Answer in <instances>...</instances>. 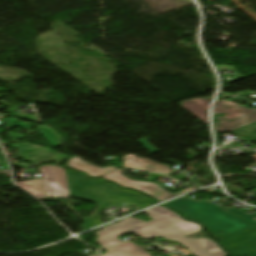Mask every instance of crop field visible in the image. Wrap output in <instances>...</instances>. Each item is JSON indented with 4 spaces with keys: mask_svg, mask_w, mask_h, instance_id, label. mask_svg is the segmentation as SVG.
I'll return each mask as SVG.
<instances>
[{
    "mask_svg": "<svg viewBox=\"0 0 256 256\" xmlns=\"http://www.w3.org/2000/svg\"><path fill=\"white\" fill-rule=\"evenodd\" d=\"M27 148H30V150ZM16 149L18 150L17 152L15 151ZM13 150L23 160L33 163H44V161L46 160V162L61 164L64 160L68 158V156L50 151L44 147L28 143L16 144L13 146ZM42 151L44 152L41 153Z\"/></svg>",
    "mask_w": 256,
    "mask_h": 256,
    "instance_id": "obj_8",
    "label": "crop field"
},
{
    "mask_svg": "<svg viewBox=\"0 0 256 256\" xmlns=\"http://www.w3.org/2000/svg\"><path fill=\"white\" fill-rule=\"evenodd\" d=\"M165 205L181 212L187 218L204 224L216 238L250 227V225L226 210L236 214L251 225H256V214L246 215L232 207L223 210L211 203L193 201L185 197H181ZM218 231H223L224 233L218 234Z\"/></svg>",
    "mask_w": 256,
    "mask_h": 256,
    "instance_id": "obj_3",
    "label": "crop field"
},
{
    "mask_svg": "<svg viewBox=\"0 0 256 256\" xmlns=\"http://www.w3.org/2000/svg\"><path fill=\"white\" fill-rule=\"evenodd\" d=\"M40 169L47 197H70L63 168L45 166Z\"/></svg>",
    "mask_w": 256,
    "mask_h": 256,
    "instance_id": "obj_7",
    "label": "crop field"
},
{
    "mask_svg": "<svg viewBox=\"0 0 256 256\" xmlns=\"http://www.w3.org/2000/svg\"><path fill=\"white\" fill-rule=\"evenodd\" d=\"M138 142H139L140 144L144 145V148H145L146 150H148L150 153L157 151V150H156L152 145H150L145 139L139 140Z\"/></svg>",
    "mask_w": 256,
    "mask_h": 256,
    "instance_id": "obj_17",
    "label": "crop field"
},
{
    "mask_svg": "<svg viewBox=\"0 0 256 256\" xmlns=\"http://www.w3.org/2000/svg\"><path fill=\"white\" fill-rule=\"evenodd\" d=\"M10 139H22V135L20 134H9Z\"/></svg>",
    "mask_w": 256,
    "mask_h": 256,
    "instance_id": "obj_19",
    "label": "crop field"
},
{
    "mask_svg": "<svg viewBox=\"0 0 256 256\" xmlns=\"http://www.w3.org/2000/svg\"><path fill=\"white\" fill-rule=\"evenodd\" d=\"M160 177H161L160 175H156V174L150 173L146 178H147V180H148L147 182H149V181L158 179V178H160Z\"/></svg>",
    "mask_w": 256,
    "mask_h": 256,
    "instance_id": "obj_18",
    "label": "crop field"
},
{
    "mask_svg": "<svg viewBox=\"0 0 256 256\" xmlns=\"http://www.w3.org/2000/svg\"><path fill=\"white\" fill-rule=\"evenodd\" d=\"M66 174L71 196L98 202L93 216L86 218L85 224L80 226L84 230L103 224L100 221L101 210L109 203L132 205L136 210L155 204L140 193L119 188L106 181L90 179L70 170L66 171Z\"/></svg>",
    "mask_w": 256,
    "mask_h": 256,
    "instance_id": "obj_2",
    "label": "crop field"
},
{
    "mask_svg": "<svg viewBox=\"0 0 256 256\" xmlns=\"http://www.w3.org/2000/svg\"><path fill=\"white\" fill-rule=\"evenodd\" d=\"M30 125H32V124L12 119L5 126H6V128L18 126L20 128L27 130Z\"/></svg>",
    "mask_w": 256,
    "mask_h": 256,
    "instance_id": "obj_16",
    "label": "crop field"
},
{
    "mask_svg": "<svg viewBox=\"0 0 256 256\" xmlns=\"http://www.w3.org/2000/svg\"><path fill=\"white\" fill-rule=\"evenodd\" d=\"M121 171H122V169H118L102 178H106V179L113 181L122 186H126V187H129L132 189L142 191V192L154 197L159 202L166 200L168 198L174 197L176 195H179L181 193H184L186 191L194 189L193 187H191V188H189L183 192H180L178 194H172L168 191H165V190L159 188L157 186V184H155V183H143V182H138V181H132V180L124 177L121 174Z\"/></svg>",
    "mask_w": 256,
    "mask_h": 256,
    "instance_id": "obj_6",
    "label": "crop field"
},
{
    "mask_svg": "<svg viewBox=\"0 0 256 256\" xmlns=\"http://www.w3.org/2000/svg\"><path fill=\"white\" fill-rule=\"evenodd\" d=\"M151 221H140L131 217L121 220L120 223L109 225L96 232L97 242L103 247L122 242L116 237L134 233L146 240L159 236L173 240L183 245L196 256H227L218 245L206 238L192 239L184 236L200 232L203 228L198 224L183 220L175 212L162 206L145 211Z\"/></svg>",
    "mask_w": 256,
    "mask_h": 256,
    "instance_id": "obj_1",
    "label": "crop field"
},
{
    "mask_svg": "<svg viewBox=\"0 0 256 256\" xmlns=\"http://www.w3.org/2000/svg\"><path fill=\"white\" fill-rule=\"evenodd\" d=\"M254 131H256V123L252 124V125H249V126H246V127H243L241 129L232 131L230 133L256 137V135L251 134Z\"/></svg>",
    "mask_w": 256,
    "mask_h": 256,
    "instance_id": "obj_15",
    "label": "crop field"
},
{
    "mask_svg": "<svg viewBox=\"0 0 256 256\" xmlns=\"http://www.w3.org/2000/svg\"><path fill=\"white\" fill-rule=\"evenodd\" d=\"M36 129L50 147L62 145V137L55 130L46 126L36 127Z\"/></svg>",
    "mask_w": 256,
    "mask_h": 256,
    "instance_id": "obj_13",
    "label": "crop field"
},
{
    "mask_svg": "<svg viewBox=\"0 0 256 256\" xmlns=\"http://www.w3.org/2000/svg\"><path fill=\"white\" fill-rule=\"evenodd\" d=\"M95 256H97V255H95Z\"/></svg>",
    "mask_w": 256,
    "mask_h": 256,
    "instance_id": "obj_21",
    "label": "crop field"
},
{
    "mask_svg": "<svg viewBox=\"0 0 256 256\" xmlns=\"http://www.w3.org/2000/svg\"><path fill=\"white\" fill-rule=\"evenodd\" d=\"M102 256H151L137 245L127 242L108 249V252Z\"/></svg>",
    "mask_w": 256,
    "mask_h": 256,
    "instance_id": "obj_11",
    "label": "crop field"
},
{
    "mask_svg": "<svg viewBox=\"0 0 256 256\" xmlns=\"http://www.w3.org/2000/svg\"><path fill=\"white\" fill-rule=\"evenodd\" d=\"M214 114L225 113L226 120L235 121L217 127L220 133L230 132L243 126L256 122V110H249L230 101L218 100L214 109Z\"/></svg>",
    "mask_w": 256,
    "mask_h": 256,
    "instance_id": "obj_4",
    "label": "crop field"
},
{
    "mask_svg": "<svg viewBox=\"0 0 256 256\" xmlns=\"http://www.w3.org/2000/svg\"><path fill=\"white\" fill-rule=\"evenodd\" d=\"M254 256H256V255H254Z\"/></svg>",
    "mask_w": 256,
    "mask_h": 256,
    "instance_id": "obj_22",
    "label": "crop field"
},
{
    "mask_svg": "<svg viewBox=\"0 0 256 256\" xmlns=\"http://www.w3.org/2000/svg\"><path fill=\"white\" fill-rule=\"evenodd\" d=\"M122 160L124 162V165L122 166L123 168L135 167L165 175H168L172 172L167 166L156 164L150 160L138 158L131 154L123 157Z\"/></svg>",
    "mask_w": 256,
    "mask_h": 256,
    "instance_id": "obj_9",
    "label": "crop field"
},
{
    "mask_svg": "<svg viewBox=\"0 0 256 256\" xmlns=\"http://www.w3.org/2000/svg\"><path fill=\"white\" fill-rule=\"evenodd\" d=\"M16 184L22 189L28 190L29 193H33V196L35 197H45L41 179L19 182Z\"/></svg>",
    "mask_w": 256,
    "mask_h": 256,
    "instance_id": "obj_14",
    "label": "crop field"
},
{
    "mask_svg": "<svg viewBox=\"0 0 256 256\" xmlns=\"http://www.w3.org/2000/svg\"><path fill=\"white\" fill-rule=\"evenodd\" d=\"M0 161H5V159H4V157H3L2 153H1V151H0ZM0 164H7V163H0Z\"/></svg>",
    "mask_w": 256,
    "mask_h": 256,
    "instance_id": "obj_20",
    "label": "crop field"
},
{
    "mask_svg": "<svg viewBox=\"0 0 256 256\" xmlns=\"http://www.w3.org/2000/svg\"><path fill=\"white\" fill-rule=\"evenodd\" d=\"M213 97L181 102V106L199 118L204 123L207 121V109Z\"/></svg>",
    "mask_w": 256,
    "mask_h": 256,
    "instance_id": "obj_10",
    "label": "crop field"
},
{
    "mask_svg": "<svg viewBox=\"0 0 256 256\" xmlns=\"http://www.w3.org/2000/svg\"><path fill=\"white\" fill-rule=\"evenodd\" d=\"M68 166L84 171L86 172L89 176H95V177H100L112 170H115L117 168H113V167H108V168H104V169H100L78 157L72 158L68 161L67 163Z\"/></svg>",
    "mask_w": 256,
    "mask_h": 256,
    "instance_id": "obj_12",
    "label": "crop field"
},
{
    "mask_svg": "<svg viewBox=\"0 0 256 256\" xmlns=\"http://www.w3.org/2000/svg\"><path fill=\"white\" fill-rule=\"evenodd\" d=\"M234 256L256 253V226L219 239Z\"/></svg>",
    "mask_w": 256,
    "mask_h": 256,
    "instance_id": "obj_5",
    "label": "crop field"
}]
</instances>
